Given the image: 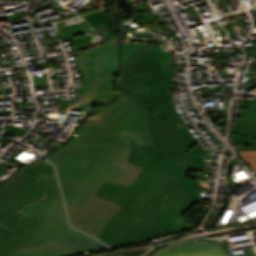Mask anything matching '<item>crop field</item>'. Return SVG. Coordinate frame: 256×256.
<instances>
[{"mask_svg": "<svg viewBox=\"0 0 256 256\" xmlns=\"http://www.w3.org/2000/svg\"><path fill=\"white\" fill-rule=\"evenodd\" d=\"M129 162L143 168L131 187L104 182L97 196L123 205L105 224L98 239L111 246L147 240L154 235L187 231L181 217L201 203L198 181L154 146H132Z\"/></svg>", "mask_w": 256, "mask_h": 256, "instance_id": "crop-field-2", "label": "crop field"}, {"mask_svg": "<svg viewBox=\"0 0 256 256\" xmlns=\"http://www.w3.org/2000/svg\"><path fill=\"white\" fill-rule=\"evenodd\" d=\"M72 227L98 237L104 223L121 207L95 196L85 210L66 204Z\"/></svg>", "mask_w": 256, "mask_h": 256, "instance_id": "crop-field-7", "label": "crop field"}, {"mask_svg": "<svg viewBox=\"0 0 256 256\" xmlns=\"http://www.w3.org/2000/svg\"><path fill=\"white\" fill-rule=\"evenodd\" d=\"M131 145H153L146 107L119 90L112 104L48 157L56 165L65 202L85 209L104 181L131 186L142 170L127 162Z\"/></svg>", "mask_w": 256, "mask_h": 256, "instance_id": "crop-field-1", "label": "crop field"}, {"mask_svg": "<svg viewBox=\"0 0 256 256\" xmlns=\"http://www.w3.org/2000/svg\"><path fill=\"white\" fill-rule=\"evenodd\" d=\"M154 146L188 169L201 171L204 151L187 129L177 128L147 109Z\"/></svg>", "mask_w": 256, "mask_h": 256, "instance_id": "crop-field-6", "label": "crop field"}, {"mask_svg": "<svg viewBox=\"0 0 256 256\" xmlns=\"http://www.w3.org/2000/svg\"><path fill=\"white\" fill-rule=\"evenodd\" d=\"M152 256H228V254L223 240L200 239L161 248ZM234 256H256V254Z\"/></svg>", "mask_w": 256, "mask_h": 256, "instance_id": "crop-field-8", "label": "crop field"}, {"mask_svg": "<svg viewBox=\"0 0 256 256\" xmlns=\"http://www.w3.org/2000/svg\"><path fill=\"white\" fill-rule=\"evenodd\" d=\"M46 162L25 167L0 188V256H67L106 248L68 227L53 167Z\"/></svg>", "mask_w": 256, "mask_h": 256, "instance_id": "crop-field-3", "label": "crop field"}, {"mask_svg": "<svg viewBox=\"0 0 256 256\" xmlns=\"http://www.w3.org/2000/svg\"><path fill=\"white\" fill-rule=\"evenodd\" d=\"M76 61L85 85L77 93L79 100L72 101V105H63L61 110H85L88 115L114 96L118 42H108L100 47H94L77 55Z\"/></svg>", "mask_w": 256, "mask_h": 256, "instance_id": "crop-field-5", "label": "crop field"}, {"mask_svg": "<svg viewBox=\"0 0 256 256\" xmlns=\"http://www.w3.org/2000/svg\"><path fill=\"white\" fill-rule=\"evenodd\" d=\"M88 29H91V27L88 25V23L83 22V23H79V24H75V25L60 28L59 29L60 32L58 33V35H59V37L62 38L63 42L69 41V40H76V39H79V38L86 37L88 35L73 39L71 34L83 32V31H86Z\"/></svg>", "mask_w": 256, "mask_h": 256, "instance_id": "crop-field-10", "label": "crop field"}, {"mask_svg": "<svg viewBox=\"0 0 256 256\" xmlns=\"http://www.w3.org/2000/svg\"><path fill=\"white\" fill-rule=\"evenodd\" d=\"M6 132L23 136L26 134L27 130L18 129L17 127H6Z\"/></svg>", "mask_w": 256, "mask_h": 256, "instance_id": "crop-field-13", "label": "crop field"}, {"mask_svg": "<svg viewBox=\"0 0 256 256\" xmlns=\"http://www.w3.org/2000/svg\"><path fill=\"white\" fill-rule=\"evenodd\" d=\"M236 120L256 124V100L254 101L252 107L248 111L244 112L241 118H236Z\"/></svg>", "mask_w": 256, "mask_h": 256, "instance_id": "crop-field-11", "label": "crop field"}, {"mask_svg": "<svg viewBox=\"0 0 256 256\" xmlns=\"http://www.w3.org/2000/svg\"><path fill=\"white\" fill-rule=\"evenodd\" d=\"M172 76L171 58L162 47L122 43L119 89L158 116L182 123L167 90Z\"/></svg>", "mask_w": 256, "mask_h": 256, "instance_id": "crop-field-4", "label": "crop field"}, {"mask_svg": "<svg viewBox=\"0 0 256 256\" xmlns=\"http://www.w3.org/2000/svg\"><path fill=\"white\" fill-rule=\"evenodd\" d=\"M256 70V69H255Z\"/></svg>", "mask_w": 256, "mask_h": 256, "instance_id": "crop-field-14", "label": "crop field"}, {"mask_svg": "<svg viewBox=\"0 0 256 256\" xmlns=\"http://www.w3.org/2000/svg\"><path fill=\"white\" fill-rule=\"evenodd\" d=\"M236 121V120H234ZM231 141L245 142L251 147H236V151L240 150H256V125L237 121L235 130L231 131Z\"/></svg>", "mask_w": 256, "mask_h": 256, "instance_id": "crop-field-9", "label": "crop field"}, {"mask_svg": "<svg viewBox=\"0 0 256 256\" xmlns=\"http://www.w3.org/2000/svg\"><path fill=\"white\" fill-rule=\"evenodd\" d=\"M240 153L252 169H256V151H241Z\"/></svg>", "mask_w": 256, "mask_h": 256, "instance_id": "crop-field-12", "label": "crop field"}]
</instances>
